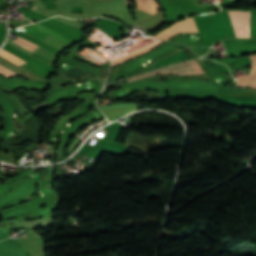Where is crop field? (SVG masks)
Returning <instances> with one entry per match:
<instances>
[{"instance_id": "8a807250", "label": "crop field", "mask_w": 256, "mask_h": 256, "mask_svg": "<svg viewBox=\"0 0 256 256\" xmlns=\"http://www.w3.org/2000/svg\"><path fill=\"white\" fill-rule=\"evenodd\" d=\"M162 72H171V73H176V74H180V75L203 73L202 70L200 69V67L198 66V64L195 62V60H193L188 63L156 70V71H153V72H150V73L138 76V77H134V78L128 79L127 82L137 80L140 78H144V77H148V76L155 75V74L162 73Z\"/></svg>"}, {"instance_id": "ac0d7876", "label": "crop field", "mask_w": 256, "mask_h": 256, "mask_svg": "<svg viewBox=\"0 0 256 256\" xmlns=\"http://www.w3.org/2000/svg\"><path fill=\"white\" fill-rule=\"evenodd\" d=\"M249 12V11H248ZM235 37H248L247 24L249 13L226 12Z\"/></svg>"}, {"instance_id": "34b2d1b8", "label": "crop field", "mask_w": 256, "mask_h": 256, "mask_svg": "<svg viewBox=\"0 0 256 256\" xmlns=\"http://www.w3.org/2000/svg\"><path fill=\"white\" fill-rule=\"evenodd\" d=\"M249 57L252 61L250 76L239 78L232 83L233 86L256 88V55Z\"/></svg>"}, {"instance_id": "412701ff", "label": "crop field", "mask_w": 256, "mask_h": 256, "mask_svg": "<svg viewBox=\"0 0 256 256\" xmlns=\"http://www.w3.org/2000/svg\"><path fill=\"white\" fill-rule=\"evenodd\" d=\"M160 43H162V41H156V42H154V43H152V44H150L148 46H145V47H143V48H141V49H139V50H137L135 52L129 53V54L124 55V56H121V57H119V58H117V59L112 61V67H114V66H116V65H118V64H120L122 62H125V61H127V60H129V59H131V58H133L135 56H138V55H140V54H142V53H144L146 51H149V50L157 47Z\"/></svg>"}, {"instance_id": "f4fd0767", "label": "crop field", "mask_w": 256, "mask_h": 256, "mask_svg": "<svg viewBox=\"0 0 256 256\" xmlns=\"http://www.w3.org/2000/svg\"><path fill=\"white\" fill-rule=\"evenodd\" d=\"M137 2V8L153 14L159 9L155 0H134Z\"/></svg>"}, {"instance_id": "dd49c442", "label": "crop field", "mask_w": 256, "mask_h": 256, "mask_svg": "<svg viewBox=\"0 0 256 256\" xmlns=\"http://www.w3.org/2000/svg\"><path fill=\"white\" fill-rule=\"evenodd\" d=\"M8 39L13 41V39H11V38H8ZM13 42L23 46L24 48H26V49H28L32 52L39 47V46H37V45L19 37V36Z\"/></svg>"}, {"instance_id": "e52e79f7", "label": "crop field", "mask_w": 256, "mask_h": 256, "mask_svg": "<svg viewBox=\"0 0 256 256\" xmlns=\"http://www.w3.org/2000/svg\"><path fill=\"white\" fill-rule=\"evenodd\" d=\"M0 55L4 56V57L7 58L8 60H10V61L16 63L17 65L20 64V63H22V62H24L23 60H21V59L18 58L17 56H15V55H13V54H11V53H9V52L3 50V49L0 50ZM2 56H1V57H2ZM4 57H3V58H4Z\"/></svg>"}, {"instance_id": "d8731c3e", "label": "crop field", "mask_w": 256, "mask_h": 256, "mask_svg": "<svg viewBox=\"0 0 256 256\" xmlns=\"http://www.w3.org/2000/svg\"><path fill=\"white\" fill-rule=\"evenodd\" d=\"M0 74L4 75L6 77H9V76H12V75L17 74V73L11 72V71L3 68L2 66H0Z\"/></svg>"}, {"instance_id": "5a996713", "label": "crop field", "mask_w": 256, "mask_h": 256, "mask_svg": "<svg viewBox=\"0 0 256 256\" xmlns=\"http://www.w3.org/2000/svg\"><path fill=\"white\" fill-rule=\"evenodd\" d=\"M36 7L34 6V7H32V10H34Z\"/></svg>"}]
</instances>
